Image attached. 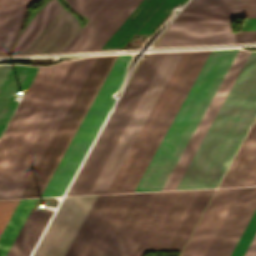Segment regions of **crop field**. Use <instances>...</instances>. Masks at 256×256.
<instances>
[{
  "instance_id": "obj_20",
  "label": "crop field",
  "mask_w": 256,
  "mask_h": 256,
  "mask_svg": "<svg viewBox=\"0 0 256 256\" xmlns=\"http://www.w3.org/2000/svg\"><path fill=\"white\" fill-rule=\"evenodd\" d=\"M36 199L20 200L11 219L0 237V256H6Z\"/></svg>"
},
{
  "instance_id": "obj_14",
  "label": "crop field",
  "mask_w": 256,
  "mask_h": 256,
  "mask_svg": "<svg viewBox=\"0 0 256 256\" xmlns=\"http://www.w3.org/2000/svg\"><path fill=\"white\" fill-rule=\"evenodd\" d=\"M178 1L187 0H142L101 50L120 49L132 34L150 33Z\"/></svg>"
},
{
  "instance_id": "obj_10",
  "label": "crop field",
  "mask_w": 256,
  "mask_h": 256,
  "mask_svg": "<svg viewBox=\"0 0 256 256\" xmlns=\"http://www.w3.org/2000/svg\"><path fill=\"white\" fill-rule=\"evenodd\" d=\"M95 197H65L33 256H63Z\"/></svg>"
},
{
  "instance_id": "obj_2",
  "label": "crop field",
  "mask_w": 256,
  "mask_h": 256,
  "mask_svg": "<svg viewBox=\"0 0 256 256\" xmlns=\"http://www.w3.org/2000/svg\"><path fill=\"white\" fill-rule=\"evenodd\" d=\"M118 56L97 57L20 198L41 196ZM131 57L119 56L42 196L63 195L115 99Z\"/></svg>"
},
{
  "instance_id": "obj_1",
  "label": "crop field",
  "mask_w": 256,
  "mask_h": 256,
  "mask_svg": "<svg viewBox=\"0 0 256 256\" xmlns=\"http://www.w3.org/2000/svg\"><path fill=\"white\" fill-rule=\"evenodd\" d=\"M238 49L184 52L108 193L162 190Z\"/></svg>"
},
{
  "instance_id": "obj_32",
  "label": "crop field",
  "mask_w": 256,
  "mask_h": 256,
  "mask_svg": "<svg viewBox=\"0 0 256 256\" xmlns=\"http://www.w3.org/2000/svg\"><path fill=\"white\" fill-rule=\"evenodd\" d=\"M244 256H256V234L250 243L247 251L245 252Z\"/></svg>"
},
{
  "instance_id": "obj_17",
  "label": "crop field",
  "mask_w": 256,
  "mask_h": 256,
  "mask_svg": "<svg viewBox=\"0 0 256 256\" xmlns=\"http://www.w3.org/2000/svg\"><path fill=\"white\" fill-rule=\"evenodd\" d=\"M215 189L198 190L166 251H181Z\"/></svg>"
},
{
  "instance_id": "obj_21",
  "label": "crop field",
  "mask_w": 256,
  "mask_h": 256,
  "mask_svg": "<svg viewBox=\"0 0 256 256\" xmlns=\"http://www.w3.org/2000/svg\"><path fill=\"white\" fill-rule=\"evenodd\" d=\"M42 212L31 210L28 218L26 219L23 227L21 228L17 238L15 239L12 247L10 248L7 256H19L22 252L27 240L29 239L35 225L37 224Z\"/></svg>"
},
{
  "instance_id": "obj_6",
  "label": "crop field",
  "mask_w": 256,
  "mask_h": 256,
  "mask_svg": "<svg viewBox=\"0 0 256 256\" xmlns=\"http://www.w3.org/2000/svg\"><path fill=\"white\" fill-rule=\"evenodd\" d=\"M69 61L54 66H12L0 88V134L14 111L19 90L27 92L0 140V186L50 98Z\"/></svg>"
},
{
  "instance_id": "obj_30",
  "label": "crop field",
  "mask_w": 256,
  "mask_h": 256,
  "mask_svg": "<svg viewBox=\"0 0 256 256\" xmlns=\"http://www.w3.org/2000/svg\"><path fill=\"white\" fill-rule=\"evenodd\" d=\"M237 42H252L256 41V30L239 31L235 33Z\"/></svg>"
},
{
  "instance_id": "obj_23",
  "label": "crop field",
  "mask_w": 256,
  "mask_h": 256,
  "mask_svg": "<svg viewBox=\"0 0 256 256\" xmlns=\"http://www.w3.org/2000/svg\"><path fill=\"white\" fill-rule=\"evenodd\" d=\"M255 232H256V211L253 214L250 222L248 223L245 231L243 232L231 256H243Z\"/></svg>"
},
{
  "instance_id": "obj_12",
  "label": "crop field",
  "mask_w": 256,
  "mask_h": 256,
  "mask_svg": "<svg viewBox=\"0 0 256 256\" xmlns=\"http://www.w3.org/2000/svg\"><path fill=\"white\" fill-rule=\"evenodd\" d=\"M249 54L250 52H246L241 49L239 50L236 58L234 59L221 85L219 86L215 96L213 97L195 132L193 133L189 143L187 144L174 170L172 171L163 190L176 189L179 181L181 180L185 170L187 169L190 161L192 160L196 150L198 149L201 141L203 140L207 130L209 129L212 121L214 120L217 112L219 111L223 101L225 100L228 92L230 91Z\"/></svg>"
},
{
  "instance_id": "obj_15",
  "label": "crop field",
  "mask_w": 256,
  "mask_h": 256,
  "mask_svg": "<svg viewBox=\"0 0 256 256\" xmlns=\"http://www.w3.org/2000/svg\"><path fill=\"white\" fill-rule=\"evenodd\" d=\"M132 193L113 195L80 256H98Z\"/></svg>"
},
{
  "instance_id": "obj_33",
  "label": "crop field",
  "mask_w": 256,
  "mask_h": 256,
  "mask_svg": "<svg viewBox=\"0 0 256 256\" xmlns=\"http://www.w3.org/2000/svg\"><path fill=\"white\" fill-rule=\"evenodd\" d=\"M256 29V18L255 19H246L241 30H250Z\"/></svg>"
},
{
  "instance_id": "obj_7",
  "label": "crop field",
  "mask_w": 256,
  "mask_h": 256,
  "mask_svg": "<svg viewBox=\"0 0 256 256\" xmlns=\"http://www.w3.org/2000/svg\"><path fill=\"white\" fill-rule=\"evenodd\" d=\"M96 57L70 61L0 188V199L19 198Z\"/></svg>"
},
{
  "instance_id": "obj_8",
  "label": "crop field",
  "mask_w": 256,
  "mask_h": 256,
  "mask_svg": "<svg viewBox=\"0 0 256 256\" xmlns=\"http://www.w3.org/2000/svg\"><path fill=\"white\" fill-rule=\"evenodd\" d=\"M241 188L217 189L180 256H204ZM256 208V187L242 188L205 256H229Z\"/></svg>"
},
{
  "instance_id": "obj_26",
  "label": "crop field",
  "mask_w": 256,
  "mask_h": 256,
  "mask_svg": "<svg viewBox=\"0 0 256 256\" xmlns=\"http://www.w3.org/2000/svg\"><path fill=\"white\" fill-rule=\"evenodd\" d=\"M256 4V0H191L187 7ZM186 7V8H187Z\"/></svg>"
},
{
  "instance_id": "obj_27",
  "label": "crop field",
  "mask_w": 256,
  "mask_h": 256,
  "mask_svg": "<svg viewBox=\"0 0 256 256\" xmlns=\"http://www.w3.org/2000/svg\"><path fill=\"white\" fill-rule=\"evenodd\" d=\"M34 1H35V0H25V1H24L23 6H22V8H21V11H20V13H19V16H18V18H17V21H16V23H15V26H14V28H13V31H12V33H11V36H10V38H9V41H8V43H7V46H6L5 51H4L3 54H10V53H11L12 48H13V46H14V43H15V41H16V38H17V36H18V33H19V31H20V25H21L22 20H23V18H24V15H25V12H26V10H27V7H28L29 4H31V3L34 2Z\"/></svg>"
},
{
  "instance_id": "obj_5",
  "label": "crop field",
  "mask_w": 256,
  "mask_h": 256,
  "mask_svg": "<svg viewBox=\"0 0 256 256\" xmlns=\"http://www.w3.org/2000/svg\"><path fill=\"white\" fill-rule=\"evenodd\" d=\"M193 192L133 193L101 254L143 256L147 249H161ZM196 192L182 211L162 249H165Z\"/></svg>"
},
{
  "instance_id": "obj_13",
  "label": "crop field",
  "mask_w": 256,
  "mask_h": 256,
  "mask_svg": "<svg viewBox=\"0 0 256 256\" xmlns=\"http://www.w3.org/2000/svg\"><path fill=\"white\" fill-rule=\"evenodd\" d=\"M233 20L171 23L155 47L236 42Z\"/></svg>"
},
{
  "instance_id": "obj_19",
  "label": "crop field",
  "mask_w": 256,
  "mask_h": 256,
  "mask_svg": "<svg viewBox=\"0 0 256 256\" xmlns=\"http://www.w3.org/2000/svg\"><path fill=\"white\" fill-rule=\"evenodd\" d=\"M112 195H98L65 256H79Z\"/></svg>"
},
{
  "instance_id": "obj_28",
  "label": "crop field",
  "mask_w": 256,
  "mask_h": 256,
  "mask_svg": "<svg viewBox=\"0 0 256 256\" xmlns=\"http://www.w3.org/2000/svg\"><path fill=\"white\" fill-rule=\"evenodd\" d=\"M19 199L0 201V234L15 209Z\"/></svg>"
},
{
  "instance_id": "obj_9",
  "label": "crop field",
  "mask_w": 256,
  "mask_h": 256,
  "mask_svg": "<svg viewBox=\"0 0 256 256\" xmlns=\"http://www.w3.org/2000/svg\"><path fill=\"white\" fill-rule=\"evenodd\" d=\"M61 5L58 0L48 1L22 31L13 55H18L30 44ZM64 9V8H63ZM62 8L24 50L22 54L61 52L80 30L78 21ZM75 17V16H74Z\"/></svg>"
},
{
  "instance_id": "obj_31",
  "label": "crop field",
  "mask_w": 256,
  "mask_h": 256,
  "mask_svg": "<svg viewBox=\"0 0 256 256\" xmlns=\"http://www.w3.org/2000/svg\"><path fill=\"white\" fill-rule=\"evenodd\" d=\"M248 185H256V162L243 184V186H248Z\"/></svg>"
},
{
  "instance_id": "obj_29",
  "label": "crop field",
  "mask_w": 256,
  "mask_h": 256,
  "mask_svg": "<svg viewBox=\"0 0 256 256\" xmlns=\"http://www.w3.org/2000/svg\"><path fill=\"white\" fill-rule=\"evenodd\" d=\"M13 0H0V32L10 10Z\"/></svg>"
},
{
  "instance_id": "obj_11",
  "label": "crop field",
  "mask_w": 256,
  "mask_h": 256,
  "mask_svg": "<svg viewBox=\"0 0 256 256\" xmlns=\"http://www.w3.org/2000/svg\"><path fill=\"white\" fill-rule=\"evenodd\" d=\"M141 0H106L65 52L98 51Z\"/></svg>"
},
{
  "instance_id": "obj_16",
  "label": "crop field",
  "mask_w": 256,
  "mask_h": 256,
  "mask_svg": "<svg viewBox=\"0 0 256 256\" xmlns=\"http://www.w3.org/2000/svg\"><path fill=\"white\" fill-rule=\"evenodd\" d=\"M256 160V120L219 187L242 186Z\"/></svg>"
},
{
  "instance_id": "obj_18",
  "label": "crop field",
  "mask_w": 256,
  "mask_h": 256,
  "mask_svg": "<svg viewBox=\"0 0 256 256\" xmlns=\"http://www.w3.org/2000/svg\"><path fill=\"white\" fill-rule=\"evenodd\" d=\"M256 5L184 9L175 21L255 17Z\"/></svg>"
},
{
  "instance_id": "obj_22",
  "label": "crop field",
  "mask_w": 256,
  "mask_h": 256,
  "mask_svg": "<svg viewBox=\"0 0 256 256\" xmlns=\"http://www.w3.org/2000/svg\"><path fill=\"white\" fill-rule=\"evenodd\" d=\"M23 1L24 0H14L13 2V5L7 17V20L5 22V25L0 34V54H2L4 51V48L6 46V43L8 41V38L10 36V33L12 31V28L14 26V23L16 21V18L18 16V13L20 11Z\"/></svg>"
},
{
  "instance_id": "obj_3",
  "label": "crop field",
  "mask_w": 256,
  "mask_h": 256,
  "mask_svg": "<svg viewBox=\"0 0 256 256\" xmlns=\"http://www.w3.org/2000/svg\"><path fill=\"white\" fill-rule=\"evenodd\" d=\"M183 52L149 54L134 83H130L115 112L112 111L66 195L107 193Z\"/></svg>"
},
{
  "instance_id": "obj_24",
  "label": "crop field",
  "mask_w": 256,
  "mask_h": 256,
  "mask_svg": "<svg viewBox=\"0 0 256 256\" xmlns=\"http://www.w3.org/2000/svg\"><path fill=\"white\" fill-rule=\"evenodd\" d=\"M52 212L51 211H47L45 210L42 218L40 219L36 229L34 230L31 238L29 239L26 247L24 248L21 256H29L33 247L35 246L39 236L41 235L44 227L46 226L50 216H51Z\"/></svg>"
},
{
  "instance_id": "obj_25",
  "label": "crop field",
  "mask_w": 256,
  "mask_h": 256,
  "mask_svg": "<svg viewBox=\"0 0 256 256\" xmlns=\"http://www.w3.org/2000/svg\"><path fill=\"white\" fill-rule=\"evenodd\" d=\"M72 6L80 10L88 17H92L93 14L99 9V7L105 2V0H68Z\"/></svg>"
},
{
  "instance_id": "obj_4",
  "label": "crop field",
  "mask_w": 256,
  "mask_h": 256,
  "mask_svg": "<svg viewBox=\"0 0 256 256\" xmlns=\"http://www.w3.org/2000/svg\"><path fill=\"white\" fill-rule=\"evenodd\" d=\"M256 116V52H251L177 189L216 187Z\"/></svg>"
},
{
  "instance_id": "obj_34",
  "label": "crop field",
  "mask_w": 256,
  "mask_h": 256,
  "mask_svg": "<svg viewBox=\"0 0 256 256\" xmlns=\"http://www.w3.org/2000/svg\"><path fill=\"white\" fill-rule=\"evenodd\" d=\"M10 68H11V65H0V86L3 83Z\"/></svg>"
}]
</instances>
